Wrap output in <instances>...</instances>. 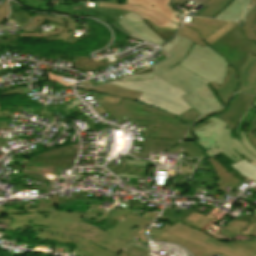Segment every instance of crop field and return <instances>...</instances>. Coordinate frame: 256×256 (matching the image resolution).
<instances>
[{"label":"crop field","mask_w":256,"mask_h":256,"mask_svg":"<svg viewBox=\"0 0 256 256\" xmlns=\"http://www.w3.org/2000/svg\"><path fill=\"white\" fill-rule=\"evenodd\" d=\"M33 18L34 19H32V21L26 27H24V28L31 27V26H38V25L43 23L44 19L49 20V21H53V22H56V23H59V24H62L58 31H54V32H52V33H50L48 35H55V34L61 33L65 29V27H66V21L64 20L63 17H58V16L52 17V16L36 15ZM17 30H19V29H17Z\"/></svg>","instance_id":"obj_20"},{"label":"crop field","mask_w":256,"mask_h":256,"mask_svg":"<svg viewBox=\"0 0 256 256\" xmlns=\"http://www.w3.org/2000/svg\"><path fill=\"white\" fill-rule=\"evenodd\" d=\"M211 161V165L219 176L218 185L219 191L225 192L226 186H231V189L240 183V180L236 179L233 175L227 172L222 165L214 158H209Z\"/></svg>","instance_id":"obj_14"},{"label":"crop field","mask_w":256,"mask_h":256,"mask_svg":"<svg viewBox=\"0 0 256 256\" xmlns=\"http://www.w3.org/2000/svg\"><path fill=\"white\" fill-rule=\"evenodd\" d=\"M251 224L250 223H248V225L245 227V229L248 227V226H250Z\"/></svg>","instance_id":"obj_41"},{"label":"crop field","mask_w":256,"mask_h":256,"mask_svg":"<svg viewBox=\"0 0 256 256\" xmlns=\"http://www.w3.org/2000/svg\"><path fill=\"white\" fill-rule=\"evenodd\" d=\"M243 33L249 39H252L256 42V9H252L243 26Z\"/></svg>","instance_id":"obj_21"},{"label":"crop field","mask_w":256,"mask_h":256,"mask_svg":"<svg viewBox=\"0 0 256 256\" xmlns=\"http://www.w3.org/2000/svg\"><path fill=\"white\" fill-rule=\"evenodd\" d=\"M148 252L134 248L128 245L120 254L117 256H147Z\"/></svg>","instance_id":"obj_26"},{"label":"crop field","mask_w":256,"mask_h":256,"mask_svg":"<svg viewBox=\"0 0 256 256\" xmlns=\"http://www.w3.org/2000/svg\"><path fill=\"white\" fill-rule=\"evenodd\" d=\"M73 161H74L73 157L71 156L33 160V162H40L41 164L62 166V167H68V168L72 166Z\"/></svg>","instance_id":"obj_23"},{"label":"crop field","mask_w":256,"mask_h":256,"mask_svg":"<svg viewBox=\"0 0 256 256\" xmlns=\"http://www.w3.org/2000/svg\"><path fill=\"white\" fill-rule=\"evenodd\" d=\"M253 106H256V101H255V103H254ZM253 106H251V107L249 108V110H250ZM249 110L245 113V115H244L243 118L240 120V122H239V124H238V126H237V136H238V138H239L238 129H239L241 123L243 122L244 118L246 117L247 113L249 112Z\"/></svg>","instance_id":"obj_35"},{"label":"crop field","mask_w":256,"mask_h":256,"mask_svg":"<svg viewBox=\"0 0 256 256\" xmlns=\"http://www.w3.org/2000/svg\"><path fill=\"white\" fill-rule=\"evenodd\" d=\"M255 99V96L236 93L228 103L227 110L222 114L217 115V117L228 124L226 128L236 129L239 120L248 110V108L253 104Z\"/></svg>","instance_id":"obj_11"},{"label":"crop field","mask_w":256,"mask_h":256,"mask_svg":"<svg viewBox=\"0 0 256 256\" xmlns=\"http://www.w3.org/2000/svg\"><path fill=\"white\" fill-rule=\"evenodd\" d=\"M113 172L122 174H134V175H146L148 168H136V167H121V166H108Z\"/></svg>","instance_id":"obj_24"},{"label":"crop field","mask_w":256,"mask_h":256,"mask_svg":"<svg viewBox=\"0 0 256 256\" xmlns=\"http://www.w3.org/2000/svg\"><path fill=\"white\" fill-rule=\"evenodd\" d=\"M242 24L243 22L237 23L233 30L210 45L236 69L244 62L248 52L256 56V44L244 37L241 32Z\"/></svg>","instance_id":"obj_10"},{"label":"crop field","mask_w":256,"mask_h":256,"mask_svg":"<svg viewBox=\"0 0 256 256\" xmlns=\"http://www.w3.org/2000/svg\"><path fill=\"white\" fill-rule=\"evenodd\" d=\"M246 225H247L246 222L233 220L227 226H225L220 232L226 234L227 236H229L231 238L240 234V235L252 238V239H256L255 237H251V236L240 233L241 231H243V229Z\"/></svg>","instance_id":"obj_22"},{"label":"crop field","mask_w":256,"mask_h":256,"mask_svg":"<svg viewBox=\"0 0 256 256\" xmlns=\"http://www.w3.org/2000/svg\"><path fill=\"white\" fill-rule=\"evenodd\" d=\"M227 69V75L220 88L215 82L212 83L225 104L234 92L256 95V58L254 56L248 54L247 59L237 71L233 67Z\"/></svg>","instance_id":"obj_8"},{"label":"crop field","mask_w":256,"mask_h":256,"mask_svg":"<svg viewBox=\"0 0 256 256\" xmlns=\"http://www.w3.org/2000/svg\"><path fill=\"white\" fill-rule=\"evenodd\" d=\"M251 10V7H247L243 15L241 16L239 21H244L245 17L247 16V13Z\"/></svg>","instance_id":"obj_36"},{"label":"crop field","mask_w":256,"mask_h":256,"mask_svg":"<svg viewBox=\"0 0 256 256\" xmlns=\"http://www.w3.org/2000/svg\"><path fill=\"white\" fill-rule=\"evenodd\" d=\"M195 1L202 2L210 5L198 16L203 17H213L217 13L221 12L232 0H172V5L179 3L180 6L184 5L186 2Z\"/></svg>","instance_id":"obj_15"},{"label":"crop field","mask_w":256,"mask_h":256,"mask_svg":"<svg viewBox=\"0 0 256 256\" xmlns=\"http://www.w3.org/2000/svg\"><path fill=\"white\" fill-rule=\"evenodd\" d=\"M130 245H132V246H134V247H137V248H140V249H142V250H145V251H148L149 252V250H147V249H145V248H143V247H140V246H137V245H134V244H131V243H129Z\"/></svg>","instance_id":"obj_40"},{"label":"crop field","mask_w":256,"mask_h":256,"mask_svg":"<svg viewBox=\"0 0 256 256\" xmlns=\"http://www.w3.org/2000/svg\"><path fill=\"white\" fill-rule=\"evenodd\" d=\"M236 22H224L200 17H184V23L177 31L199 46L210 45L234 28Z\"/></svg>","instance_id":"obj_9"},{"label":"crop field","mask_w":256,"mask_h":256,"mask_svg":"<svg viewBox=\"0 0 256 256\" xmlns=\"http://www.w3.org/2000/svg\"><path fill=\"white\" fill-rule=\"evenodd\" d=\"M241 157L243 159L235 162L230 166L233 167L239 173L245 175L246 177L256 182V164L245 158L243 155Z\"/></svg>","instance_id":"obj_18"},{"label":"crop field","mask_w":256,"mask_h":256,"mask_svg":"<svg viewBox=\"0 0 256 256\" xmlns=\"http://www.w3.org/2000/svg\"><path fill=\"white\" fill-rule=\"evenodd\" d=\"M118 176H123V177H133V178H138V177H146V176H133V175H122V174H117Z\"/></svg>","instance_id":"obj_38"},{"label":"crop field","mask_w":256,"mask_h":256,"mask_svg":"<svg viewBox=\"0 0 256 256\" xmlns=\"http://www.w3.org/2000/svg\"><path fill=\"white\" fill-rule=\"evenodd\" d=\"M181 38H182V36L175 34V36L169 42H167L160 48H162L163 50H165L166 52L169 53L179 43Z\"/></svg>","instance_id":"obj_28"},{"label":"crop field","mask_w":256,"mask_h":256,"mask_svg":"<svg viewBox=\"0 0 256 256\" xmlns=\"http://www.w3.org/2000/svg\"><path fill=\"white\" fill-rule=\"evenodd\" d=\"M241 141L244 144V146L250 151L252 152L254 155H256V149L248 142L247 140V136L246 133L241 131Z\"/></svg>","instance_id":"obj_29"},{"label":"crop field","mask_w":256,"mask_h":256,"mask_svg":"<svg viewBox=\"0 0 256 256\" xmlns=\"http://www.w3.org/2000/svg\"><path fill=\"white\" fill-rule=\"evenodd\" d=\"M74 250L80 251L78 254L81 256H115L116 254L90 243L82 238L77 242Z\"/></svg>","instance_id":"obj_16"},{"label":"crop field","mask_w":256,"mask_h":256,"mask_svg":"<svg viewBox=\"0 0 256 256\" xmlns=\"http://www.w3.org/2000/svg\"><path fill=\"white\" fill-rule=\"evenodd\" d=\"M70 154V155H74L73 149L71 147V145L65 146V147H61V148H57L54 149L52 151H47V152H43L39 155V157H34V158H47L51 155H59V154ZM31 159V158H28Z\"/></svg>","instance_id":"obj_25"},{"label":"crop field","mask_w":256,"mask_h":256,"mask_svg":"<svg viewBox=\"0 0 256 256\" xmlns=\"http://www.w3.org/2000/svg\"><path fill=\"white\" fill-rule=\"evenodd\" d=\"M226 108H227V107L222 108V109H219V110H216V111H213V112H211V113H208V114H206V115L201 116V117L194 123V125L197 124V123H199V122H201V121H203V120H205L206 118H208V117H210V116H212V115L215 116V115L221 113L222 111L226 110Z\"/></svg>","instance_id":"obj_31"},{"label":"crop field","mask_w":256,"mask_h":256,"mask_svg":"<svg viewBox=\"0 0 256 256\" xmlns=\"http://www.w3.org/2000/svg\"><path fill=\"white\" fill-rule=\"evenodd\" d=\"M249 0H233L220 14L214 18L237 21L248 5Z\"/></svg>","instance_id":"obj_17"},{"label":"crop field","mask_w":256,"mask_h":256,"mask_svg":"<svg viewBox=\"0 0 256 256\" xmlns=\"http://www.w3.org/2000/svg\"><path fill=\"white\" fill-rule=\"evenodd\" d=\"M210 123H212V122L207 119V120H205V121H203V122H201V123H199V124L193 126L190 130L193 132V131H195V130L201 128V127H204V126H206V125H208V124H210Z\"/></svg>","instance_id":"obj_32"},{"label":"crop field","mask_w":256,"mask_h":256,"mask_svg":"<svg viewBox=\"0 0 256 256\" xmlns=\"http://www.w3.org/2000/svg\"><path fill=\"white\" fill-rule=\"evenodd\" d=\"M179 140H166V139H149L146 138V128L144 134V142H143V154L132 153L136 157H148L149 152L156 151L161 152L164 151L171 146L175 145Z\"/></svg>","instance_id":"obj_12"},{"label":"crop field","mask_w":256,"mask_h":256,"mask_svg":"<svg viewBox=\"0 0 256 256\" xmlns=\"http://www.w3.org/2000/svg\"><path fill=\"white\" fill-rule=\"evenodd\" d=\"M153 241H172L189 249L195 256H210L215 253L223 256H256V240L225 242L197 231L187 225L176 222L174 226L166 224L162 229L150 228Z\"/></svg>","instance_id":"obj_4"},{"label":"crop field","mask_w":256,"mask_h":256,"mask_svg":"<svg viewBox=\"0 0 256 256\" xmlns=\"http://www.w3.org/2000/svg\"><path fill=\"white\" fill-rule=\"evenodd\" d=\"M72 60L74 66L82 71L98 69L104 66L102 62H93L90 57L72 56Z\"/></svg>","instance_id":"obj_19"},{"label":"crop field","mask_w":256,"mask_h":256,"mask_svg":"<svg viewBox=\"0 0 256 256\" xmlns=\"http://www.w3.org/2000/svg\"><path fill=\"white\" fill-rule=\"evenodd\" d=\"M80 89L88 90V91H92V92L105 93V94L117 96L120 98H129V99H133L135 101H137L139 96L141 95L140 92L125 90V89H122V88L114 86V85H104V86H100V87H96V88H89V87L81 86Z\"/></svg>","instance_id":"obj_13"},{"label":"crop field","mask_w":256,"mask_h":256,"mask_svg":"<svg viewBox=\"0 0 256 256\" xmlns=\"http://www.w3.org/2000/svg\"><path fill=\"white\" fill-rule=\"evenodd\" d=\"M246 133L248 136V140L256 148V115L252 119Z\"/></svg>","instance_id":"obj_27"},{"label":"crop field","mask_w":256,"mask_h":256,"mask_svg":"<svg viewBox=\"0 0 256 256\" xmlns=\"http://www.w3.org/2000/svg\"><path fill=\"white\" fill-rule=\"evenodd\" d=\"M209 119L214 123L193 132L198 145L208 157L222 153L235 162L241 159L240 156L243 154L256 162V157L247 152L240 141L238 142L235 137L231 136V130L225 129L227 124L213 116Z\"/></svg>","instance_id":"obj_7"},{"label":"crop field","mask_w":256,"mask_h":256,"mask_svg":"<svg viewBox=\"0 0 256 256\" xmlns=\"http://www.w3.org/2000/svg\"><path fill=\"white\" fill-rule=\"evenodd\" d=\"M110 84L141 91L143 93L138 102L162 109L175 116L191 108L181 97L187 94L185 91L156 75L153 80L148 81L112 82Z\"/></svg>","instance_id":"obj_6"},{"label":"crop field","mask_w":256,"mask_h":256,"mask_svg":"<svg viewBox=\"0 0 256 256\" xmlns=\"http://www.w3.org/2000/svg\"><path fill=\"white\" fill-rule=\"evenodd\" d=\"M46 200V204L39 200L38 208L32 209L30 202L23 205L22 210L16 211L8 208V218H13L8 227L24 229V225L32 226L36 231V238L74 243L80 237L94 242L114 253H118L131 240L133 235L140 229L148 227L158 213H144L142 218L128 215L131 209L114 208L112 212L100 210L98 206L91 205L87 213L56 212L55 204H59L57 195ZM88 217L102 222L106 217L118 222L106 232L80 222V218ZM93 243V244H94ZM95 244V245H96Z\"/></svg>","instance_id":"obj_1"},{"label":"crop field","mask_w":256,"mask_h":256,"mask_svg":"<svg viewBox=\"0 0 256 256\" xmlns=\"http://www.w3.org/2000/svg\"><path fill=\"white\" fill-rule=\"evenodd\" d=\"M98 7L131 10L165 42L181 24L182 16L170 5V0H127L126 5L99 3Z\"/></svg>","instance_id":"obj_5"},{"label":"crop field","mask_w":256,"mask_h":256,"mask_svg":"<svg viewBox=\"0 0 256 256\" xmlns=\"http://www.w3.org/2000/svg\"><path fill=\"white\" fill-rule=\"evenodd\" d=\"M213 50L207 45L201 48L183 37L170 52L172 56L169 59L152 67L155 72L136 73L119 81L148 80L152 79L154 73L188 92L182 97L202 115L222 107L206 84L215 81L220 86L226 75V67L231 66Z\"/></svg>","instance_id":"obj_2"},{"label":"crop field","mask_w":256,"mask_h":256,"mask_svg":"<svg viewBox=\"0 0 256 256\" xmlns=\"http://www.w3.org/2000/svg\"><path fill=\"white\" fill-rule=\"evenodd\" d=\"M145 230H146V229L139 231V232L136 234L135 238L149 242V240L147 239V237H146V235H145Z\"/></svg>","instance_id":"obj_33"},{"label":"crop field","mask_w":256,"mask_h":256,"mask_svg":"<svg viewBox=\"0 0 256 256\" xmlns=\"http://www.w3.org/2000/svg\"><path fill=\"white\" fill-rule=\"evenodd\" d=\"M250 218H251V214H249V215H247V216H245V217H241V218L236 219V220H241V221H246V222H248Z\"/></svg>","instance_id":"obj_37"},{"label":"crop field","mask_w":256,"mask_h":256,"mask_svg":"<svg viewBox=\"0 0 256 256\" xmlns=\"http://www.w3.org/2000/svg\"><path fill=\"white\" fill-rule=\"evenodd\" d=\"M6 114H13V113H6Z\"/></svg>","instance_id":"obj_42"},{"label":"crop field","mask_w":256,"mask_h":256,"mask_svg":"<svg viewBox=\"0 0 256 256\" xmlns=\"http://www.w3.org/2000/svg\"><path fill=\"white\" fill-rule=\"evenodd\" d=\"M128 164L127 165H137V166H145L146 161H132V160H127Z\"/></svg>","instance_id":"obj_34"},{"label":"crop field","mask_w":256,"mask_h":256,"mask_svg":"<svg viewBox=\"0 0 256 256\" xmlns=\"http://www.w3.org/2000/svg\"><path fill=\"white\" fill-rule=\"evenodd\" d=\"M249 5H250V6H253V7H256V0H251V2H250Z\"/></svg>","instance_id":"obj_39"},{"label":"crop field","mask_w":256,"mask_h":256,"mask_svg":"<svg viewBox=\"0 0 256 256\" xmlns=\"http://www.w3.org/2000/svg\"><path fill=\"white\" fill-rule=\"evenodd\" d=\"M8 11V2L6 0L0 5V22L6 17Z\"/></svg>","instance_id":"obj_30"},{"label":"crop field","mask_w":256,"mask_h":256,"mask_svg":"<svg viewBox=\"0 0 256 256\" xmlns=\"http://www.w3.org/2000/svg\"><path fill=\"white\" fill-rule=\"evenodd\" d=\"M100 105L110 114L120 118L149 120L147 137L150 138L182 139L196 118L200 116L192 108L175 117L162 110L129 99H122L119 105L107 102H102Z\"/></svg>","instance_id":"obj_3"}]
</instances>
